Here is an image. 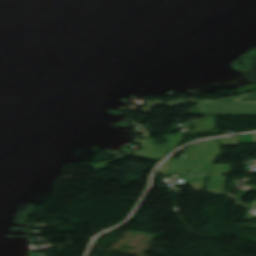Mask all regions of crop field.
Segmentation results:
<instances>
[{
  "instance_id": "1",
  "label": "crop field",
  "mask_w": 256,
  "mask_h": 256,
  "mask_svg": "<svg viewBox=\"0 0 256 256\" xmlns=\"http://www.w3.org/2000/svg\"><path fill=\"white\" fill-rule=\"evenodd\" d=\"M220 154L216 140L201 142L185 149L181 160L169 159L156 173L166 176L195 174L196 177L183 178L190 179V186L194 187V190H202L207 176L210 175V167ZM186 170L191 172L187 173Z\"/></svg>"
},
{
  "instance_id": "2",
  "label": "crop field",
  "mask_w": 256,
  "mask_h": 256,
  "mask_svg": "<svg viewBox=\"0 0 256 256\" xmlns=\"http://www.w3.org/2000/svg\"><path fill=\"white\" fill-rule=\"evenodd\" d=\"M150 134H155L152 132H147L145 145L143 148L133 152L130 156L148 159L152 161L159 162L168 153L174 150L177 145L183 140L186 134H171L168 137L161 136L167 140V145L164 147L154 145L153 139L150 138Z\"/></svg>"
},
{
  "instance_id": "3",
  "label": "crop field",
  "mask_w": 256,
  "mask_h": 256,
  "mask_svg": "<svg viewBox=\"0 0 256 256\" xmlns=\"http://www.w3.org/2000/svg\"><path fill=\"white\" fill-rule=\"evenodd\" d=\"M203 115L247 114L256 115V104L249 103H203L198 106Z\"/></svg>"
},
{
  "instance_id": "4",
  "label": "crop field",
  "mask_w": 256,
  "mask_h": 256,
  "mask_svg": "<svg viewBox=\"0 0 256 256\" xmlns=\"http://www.w3.org/2000/svg\"><path fill=\"white\" fill-rule=\"evenodd\" d=\"M219 174H231V164H214L212 176L208 178L205 186L207 192L229 193L224 191L227 177Z\"/></svg>"
},
{
  "instance_id": "5",
  "label": "crop field",
  "mask_w": 256,
  "mask_h": 256,
  "mask_svg": "<svg viewBox=\"0 0 256 256\" xmlns=\"http://www.w3.org/2000/svg\"><path fill=\"white\" fill-rule=\"evenodd\" d=\"M189 99H190L191 103H193L195 105L201 104L203 102H250V103H256V93L237 96V97L207 100V101H200V100H196V99H192V98H189Z\"/></svg>"
},
{
  "instance_id": "6",
  "label": "crop field",
  "mask_w": 256,
  "mask_h": 256,
  "mask_svg": "<svg viewBox=\"0 0 256 256\" xmlns=\"http://www.w3.org/2000/svg\"><path fill=\"white\" fill-rule=\"evenodd\" d=\"M240 136L219 139L221 145H239Z\"/></svg>"
},
{
  "instance_id": "7",
  "label": "crop field",
  "mask_w": 256,
  "mask_h": 256,
  "mask_svg": "<svg viewBox=\"0 0 256 256\" xmlns=\"http://www.w3.org/2000/svg\"><path fill=\"white\" fill-rule=\"evenodd\" d=\"M158 103H160V102H158V101H151L147 105H145L141 111H143V112H150Z\"/></svg>"
},
{
  "instance_id": "8",
  "label": "crop field",
  "mask_w": 256,
  "mask_h": 256,
  "mask_svg": "<svg viewBox=\"0 0 256 256\" xmlns=\"http://www.w3.org/2000/svg\"><path fill=\"white\" fill-rule=\"evenodd\" d=\"M255 134L242 135L240 143H252Z\"/></svg>"
},
{
  "instance_id": "9",
  "label": "crop field",
  "mask_w": 256,
  "mask_h": 256,
  "mask_svg": "<svg viewBox=\"0 0 256 256\" xmlns=\"http://www.w3.org/2000/svg\"><path fill=\"white\" fill-rule=\"evenodd\" d=\"M121 159H123V158H121ZM117 160H120V159H116V160L105 162V163H101V164H93L91 166L94 167L97 170L105 169L106 167H108V166H106L107 164L112 163V162L117 161Z\"/></svg>"
},
{
  "instance_id": "10",
  "label": "crop field",
  "mask_w": 256,
  "mask_h": 256,
  "mask_svg": "<svg viewBox=\"0 0 256 256\" xmlns=\"http://www.w3.org/2000/svg\"><path fill=\"white\" fill-rule=\"evenodd\" d=\"M185 103H186L185 99L176 100V101L170 102V103H169V106H170V107H174V106H176V105H183V104H185Z\"/></svg>"
}]
</instances>
